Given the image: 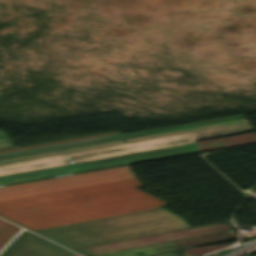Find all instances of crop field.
Instances as JSON below:
<instances>
[{"instance_id":"crop-field-1","label":"crop field","mask_w":256,"mask_h":256,"mask_svg":"<svg viewBox=\"0 0 256 256\" xmlns=\"http://www.w3.org/2000/svg\"><path fill=\"white\" fill-rule=\"evenodd\" d=\"M128 179L0 201V215L32 230L158 208L166 202Z\"/></svg>"},{"instance_id":"crop-field-2","label":"crop field","mask_w":256,"mask_h":256,"mask_svg":"<svg viewBox=\"0 0 256 256\" xmlns=\"http://www.w3.org/2000/svg\"><path fill=\"white\" fill-rule=\"evenodd\" d=\"M189 227L186 220L161 208L36 232L76 249Z\"/></svg>"},{"instance_id":"crop-field-3","label":"crop field","mask_w":256,"mask_h":256,"mask_svg":"<svg viewBox=\"0 0 256 256\" xmlns=\"http://www.w3.org/2000/svg\"><path fill=\"white\" fill-rule=\"evenodd\" d=\"M253 130L249 123L222 127L217 129L193 132L188 134L164 137L159 139L45 157L40 159L16 162L11 164L0 165V175L23 172L28 170L96 160L101 158L113 157L118 155L130 154L146 150L158 149L163 147L175 146L180 144L192 143L194 140L251 131ZM69 156L70 159L64 157Z\"/></svg>"},{"instance_id":"crop-field-4","label":"crop field","mask_w":256,"mask_h":256,"mask_svg":"<svg viewBox=\"0 0 256 256\" xmlns=\"http://www.w3.org/2000/svg\"><path fill=\"white\" fill-rule=\"evenodd\" d=\"M128 165L66 177L0 187V200L134 178Z\"/></svg>"},{"instance_id":"crop-field-5","label":"crop field","mask_w":256,"mask_h":256,"mask_svg":"<svg viewBox=\"0 0 256 256\" xmlns=\"http://www.w3.org/2000/svg\"><path fill=\"white\" fill-rule=\"evenodd\" d=\"M227 230H230L229 226L226 223H220V224L183 229V230H178L173 232H167V233H162L157 235L124 240V241L92 246V247L76 249V250L88 256H92V255H97V254H102L107 252H113V251L133 248V247H139L144 245H150L155 243H161L166 241H172V240L183 239V238L194 237V236L205 235V234L216 233V232L227 231Z\"/></svg>"},{"instance_id":"crop-field-6","label":"crop field","mask_w":256,"mask_h":256,"mask_svg":"<svg viewBox=\"0 0 256 256\" xmlns=\"http://www.w3.org/2000/svg\"><path fill=\"white\" fill-rule=\"evenodd\" d=\"M201 151L197 146L0 180V186Z\"/></svg>"},{"instance_id":"crop-field-7","label":"crop field","mask_w":256,"mask_h":256,"mask_svg":"<svg viewBox=\"0 0 256 256\" xmlns=\"http://www.w3.org/2000/svg\"><path fill=\"white\" fill-rule=\"evenodd\" d=\"M67 251L49 241H46L28 231L19 235L0 256H73Z\"/></svg>"},{"instance_id":"crop-field-8","label":"crop field","mask_w":256,"mask_h":256,"mask_svg":"<svg viewBox=\"0 0 256 256\" xmlns=\"http://www.w3.org/2000/svg\"><path fill=\"white\" fill-rule=\"evenodd\" d=\"M242 118H243V116L239 115V116H233V117H227V118H221V119H215V120H209V121H203V122H197V123H191V124H185V125H179V126H174V127L156 129V130L145 131V132L113 136V137L102 138V139H97V140H92V141L81 142V143H75V144H70V145H64V146H58V147H52V148H46V149H40V150H34V151H28V152L3 155V156H0V160L21 157V156H27V155H33V154H39V153H45V152H51V151H57V150H63V149H69V148H75V147H81V146H87V145H93V144H99V143H105V142H111V141H117V140H122V139L140 137V136H145V135L157 134V133H162V132L174 131V130H179V129L191 128V127H196V126L208 125V124L225 122V121L242 119Z\"/></svg>"},{"instance_id":"crop-field-9","label":"crop field","mask_w":256,"mask_h":256,"mask_svg":"<svg viewBox=\"0 0 256 256\" xmlns=\"http://www.w3.org/2000/svg\"><path fill=\"white\" fill-rule=\"evenodd\" d=\"M246 122L247 121L245 119H242V120L230 121V122H225V123L213 124V125H208V126L196 127V128H191V129L179 130V131H174V132L162 133V134L145 136V137H140V138L122 140V141H125V143H128V142H134V141H140V140H146V139H152V138H158V137H164V136H170V135H176V134H182V133H188V132H193V131L217 128V127H222V126L246 123ZM116 144H122V142L117 141V142L105 143V144H100V145H94V146H88V147H82V148H76V149H70V150H64V151H58V152H52V153H46V154H40V155H34V156L4 160V161H0V164L34 159V158H40V157H45V156L57 155V154H63V153H69V152L92 149V148H98V147H104V146H110V145H116Z\"/></svg>"},{"instance_id":"crop-field-10","label":"crop field","mask_w":256,"mask_h":256,"mask_svg":"<svg viewBox=\"0 0 256 256\" xmlns=\"http://www.w3.org/2000/svg\"><path fill=\"white\" fill-rule=\"evenodd\" d=\"M256 142V134L255 133H248L242 134L234 137L211 140V141H204V142H197L196 144L202 151L253 143Z\"/></svg>"},{"instance_id":"crop-field-11","label":"crop field","mask_w":256,"mask_h":256,"mask_svg":"<svg viewBox=\"0 0 256 256\" xmlns=\"http://www.w3.org/2000/svg\"><path fill=\"white\" fill-rule=\"evenodd\" d=\"M195 145H196L195 143H192V144H186V145H180V146H175V147L163 148V149H158V150L146 151V152H141V153H135V154H130V155L118 156V157H113V158L101 159V160H96V161H90V162H84V163H78V164H70V165H64V166H58V167H52V168L28 171V172H23V173L5 175V176H0V179L9 178V177H15V176H21V175H27V174H32V173H38V172H44V171H50V170H56V169L67 168V167H73V166H79V165H84V164L108 161V160H113V159L137 156V155H142V154L166 151V150H171V149L195 146Z\"/></svg>"},{"instance_id":"crop-field-12","label":"crop field","mask_w":256,"mask_h":256,"mask_svg":"<svg viewBox=\"0 0 256 256\" xmlns=\"http://www.w3.org/2000/svg\"><path fill=\"white\" fill-rule=\"evenodd\" d=\"M21 228L0 220V248Z\"/></svg>"},{"instance_id":"crop-field-13","label":"crop field","mask_w":256,"mask_h":256,"mask_svg":"<svg viewBox=\"0 0 256 256\" xmlns=\"http://www.w3.org/2000/svg\"><path fill=\"white\" fill-rule=\"evenodd\" d=\"M229 245L226 246H214V247H201V248H192V249H185V250H179V251H175V253L177 254H181L182 256H199L208 252H212L224 247H227Z\"/></svg>"},{"instance_id":"crop-field-14","label":"crop field","mask_w":256,"mask_h":256,"mask_svg":"<svg viewBox=\"0 0 256 256\" xmlns=\"http://www.w3.org/2000/svg\"><path fill=\"white\" fill-rule=\"evenodd\" d=\"M119 134L120 133L111 134V135H105V136H99V137H94V138H88V139H82V140H76V141H70V142H64V143H58V144H52V145H46V146H40V147H34V148H28V149H22V150L2 152V153H0V155L9 154V153H15V152H21V151L34 150V149H40V148H46V147H52V146H58V145H64V144H70V143L81 142V141L97 139V138H102V137H108V136H113V135H119Z\"/></svg>"},{"instance_id":"crop-field-15","label":"crop field","mask_w":256,"mask_h":256,"mask_svg":"<svg viewBox=\"0 0 256 256\" xmlns=\"http://www.w3.org/2000/svg\"><path fill=\"white\" fill-rule=\"evenodd\" d=\"M106 134H111V133H106ZM100 135H105V134H100ZM94 136H99V135H93V136H87V137L69 139V140H64V141H70V140H76V139H82V138H88V137H94ZM64 141H58V142H64ZM58 142H52V143H58ZM52 143H46V144H52ZM46 144H41V145H46ZM35 146H40V145H35ZM29 147H34V146H29ZM23 148H28V147H23ZM15 149H22V148H13V149L1 150L0 152H2V151H8V150H15Z\"/></svg>"},{"instance_id":"crop-field-16","label":"crop field","mask_w":256,"mask_h":256,"mask_svg":"<svg viewBox=\"0 0 256 256\" xmlns=\"http://www.w3.org/2000/svg\"><path fill=\"white\" fill-rule=\"evenodd\" d=\"M13 147H15V145L13 144L12 140L0 142V149H7Z\"/></svg>"},{"instance_id":"crop-field-17","label":"crop field","mask_w":256,"mask_h":256,"mask_svg":"<svg viewBox=\"0 0 256 256\" xmlns=\"http://www.w3.org/2000/svg\"><path fill=\"white\" fill-rule=\"evenodd\" d=\"M10 138L6 135L3 130H0V141L9 140Z\"/></svg>"},{"instance_id":"crop-field-18","label":"crop field","mask_w":256,"mask_h":256,"mask_svg":"<svg viewBox=\"0 0 256 256\" xmlns=\"http://www.w3.org/2000/svg\"><path fill=\"white\" fill-rule=\"evenodd\" d=\"M74 256H79V255L75 254Z\"/></svg>"}]
</instances>
